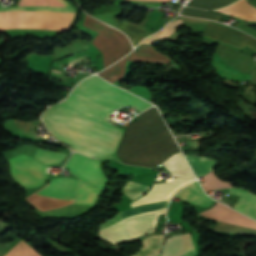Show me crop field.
I'll list each match as a JSON object with an SVG mask.
<instances>
[{"instance_id": "1", "label": "crop field", "mask_w": 256, "mask_h": 256, "mask_svg": "<svg viewBox=\"0 0 256 256\" xmlns=\"http://www.w3.org/2000/svg\"><path fill=\"white\" fill-rule=\"evenodd\" d=\"M60 104L122 132L105 117L123 106H132L140 112L152 106L95 76L82 81ZM61 105L51 106L42 115L50 134L86 156L99 159L114 154L123 133Z\"/></svg>"}, {"instance_id": "2", "label": "crop field", "mask_w": 256, "mask_h": 256, "mask_svg": "<svg viewBox=\"0 0 256 256\" xmlns=\"http://www.w3.org/2000/svg\"><path fill=\"white\" fill-rule=\"evenodd\" d=\"M139 118L124 132L116 153L121 161L155 168L180 151L155 107L141 113Z\"/></svg>"}, {"instance_id": "3", "label": "crop field", "mask_w": 256, "mask_h": 256, "mask_svg": "<svg viewBox=\"0 0 256 256\" xmlns=\"http://www.w3.org/2000/svg\"><path fill=\"white\" fill-rule=\"evenodd\" d=\"M67 8L11 7L0 11L32 10L75 13V10L64 0H58ZM57 0H20L18 6L65 7ZM0 12V30L3 29H45L66 30L75 14L51 12Z\"/></svg>"}, {"instance_id": "4", "label": "crop field", "mask_w": 256, "mask_h": 256, "mask_svg": "<svg viewBox=\"0 0 256 256\" xmlns=\"http://www.w3.org/2000/svg\"><path fill=\"white\" fill-rule=\"evenodd\" d=\"M82 26L99 34L92 44L103 54L104 68L132 50L124 35L88 15Z\"/></svg>"}, {"instance_id": "5", "label": "crop field", "mask_w": 256, "mask_h": 256, "mask_svg": "<svg viewBox=\"0 0 256 256\" xmlns=\"http://www.w3.org/2000/svg\"><path fill=\"white\" fill-rule=\"evenodd\" d=\"M77 187V180L69 178H55L51 180V182L45 188L39 190L36 193L73 201ZM37 194H33L27 199L40 210H51L53 208L65 206L72 203L71 201L56 199Z\"/></svg>"}, {"instance_id": "6", "label": "crop field", "mask_w": 256, "mask_h": 256, "mask_svg": "<svg viewBox=\"0 0 256 256\" xmlns=\"http://www.w3.org/2000/svg\"><path fill=\"white\" fill-rule=\"evenodd\" d=\"M200 214L208 216L210 218L217 219L219 221L256 229V222L250 220L246 216L234 210L229 209L228 207L218 202L212 209H209ZM223 222H220L214 229L249 234V235H256V230L244 228L236 225H231Z\"/></svg>"}, {"instance_id": "7", "label": "crop field", "mask_w": 256, "mask_h": 256, "mask_svg": "<svg viewBox=\"0 0 256 256\" xmlns=\"http://www.w3.org/2000/svg\"><path fill=\"white\" fill-rule=\"evenodd\" d=\"M12 167V175L23 186L36 187L46 177V166L25 156L19 155L8 160Z\"/></svg>"}, {"instance_id": "8", "label": "crop field", "mask_w": 256, "mask_h": 256, "mask_svg": "<svg viewBox=\"0 0 256 256\" xmlns=\"http://www.w3.org/2000/svg\"><path fill=\"white\" fill-rule=\"evenodd\" d=\"M66 168L77 175L78 178L101 190L107 182L98 160L89 159L78 153L72 156Z\"/></svg>"}, {"instance_id": "9", "label": "crop field", "mask_w": 256, "mask_h": 256, "mask_svg": "<svg viewBox=\"0 0 256 256\" xmlns=\"http://www.w3.org/2000/svg\"><path fill=\"white\" fill-rule=\"evenodd\" d=\"M195 179L174 178L173 182L154 184L149 192L142 198L131 203L132 207L140 206L146 203L159 202L169 199L179 188L191 183Z\"/></svg>"}, {"instance_id": "10", "label": "crop field", "mask_w": 256, "mask_h": 256, "mask_svg": "<svg viewBox=\"0 0 256 256\" xmlns=\"http://www.w3.org/2000/svg\"><path fill=\"white\" fill-rule=\"evenodd\" d=\"M203 35L239 48L247 44L248 46L256 49L255 39L210 23H208Z\"/></svg>"}, {"instance_id": "11", "label": "crop field", "mask_w": 256, "mask_h": 256, "mask_svg": "<svg viewBox=\"0 0 256 256\" xmlns=\"http://www.w3.org/2000/svg\"><path fill=\"white\" fill-rule=\"evenodd\" d=\"M99 236L113 244L128 242L120 212L99 225Z\"/></svg>"}, {"instance_id": "12", "label": "crop field", "mask_w": 256, "mask_h": 256, "mask_svg": "<svg viewBox=\"0 0 256 256\" xmlns=\"http://www.w3.org/2000/svg\"><path fill=\"white\" fill-rule=\"evenodd\" d=\"M192 248L194 246L190 233L171 236L165 242L162 256H181Z\"/></svg>"}, {"instance_id": "13", "label": "crop field", "mask_w": 256, "mask_h": 256, "mask_svg": "<svg viewBox=\"0 0 256 256\" xmlns=\"http://www.w3.org/2000/svg\"><path fill=\"white\" fill-rule=\"evenodd\" d=\"M175 197L182 198L204 208L211 206L215 201L209 199L201 190L198 182H194L181 190Z\"/></svg>"}, {"instance_id": "14", "label": "crop field", "mask_w": 256, "mask_h": 256, "mask_svg": "<svg viewBox=\"0 0 256 256\" xmlns=\"http://www.w3.org/2000/svg\"><path fill=\"white\" fill-rule=\"evenodd\" d=\"M162 164L172 175L183 178L195 177L181 152L172 155Z\"/></svg>"}, {"instance_id": "15", "label": "crop field", "mask_w": 256, "mask_h": 256, "mask_svg": "<svg viewBox=\"0 0 256 256\" xmlns=\"http://www.w3.org/2000/svg\"><path fill=\"white\" fill-rule=\"evenodd\" d=\"M129 61L170 63L169 58L156 52L149 45L137 47L131 54Z\"/></svg>"}, {"instance_id": "16", "label": "crop field", "mask_w": 256, "mask_h": 256, "mask_svg": "<svg viewBox=\"0 0 256 256\" xmlns=\"http://www.w3.org/2000/svg\"><path fill=\"white\" fill-rule=\"evenodd\" d=\"M217 11L240 17L248 21H256V8L250 6L246 0H240L235 4Z\"/></svg>"}, {"instance_id": "17", "label": "crop field", "mask_w": 256, "mask_h": 256, "mask_svg": "<svg viewBox=\"0 0 256 256\" xmlns=\"http://www.w3.org/2000/svg\"><path fill=\"white\" fill-rule=\"evenodd\" d=\"M229 190H238V189H229ZM238 191H243V192L249 193L244 190H238ZM238 191H229L230 194L241 195L240 198L237 200V202L234 206V209L239 210V211L243 212L244 214L256 219V198H254L248 194L238 192ZM249 194H251V193H249ZM251 195H253V194H251Z\"/></svg>"}, {"instance_id": "18", "label": "crop field", "mask_w": 256, "mask_h": 256, "mask_svg": "<svg viewBox=\"0 0 256 256\" xmlns=\"http://www.w3.org/2000/svg\"><path fill=\"white\" fill-rule=\"evenodd\" d=\"M164 236L165 235H154L144 238L143 246L135 254V256H159Z\"/></svg>"}, {"instance_id": "19", "label": "crop field", "mask_w": 256, "mask_h": 256, "mask_svg": "<svg viewBox=\"0 0 256 256\" xmlns=\"http://www.w3.org/2000/svg\"><path fill=\"white\" fill-rule=\"evenodd\" d=\"M100 193L101 190L94 188L80 180V186L76 195L75 203L94 205Z\"/></svg>"}, {"instance_id": "20", "label": "crop field", "mask_w": 256, "mask_h": 256, "mask_svg": "<svg viewBox=\"0 0 256 256\" xmlns=\"http://www.w3.org/2000/svg\"><path fill=\"white\" fill-rule=\"evenodd\" d=\"M128 58L129 55L126 58L115 63L111 67L107 68L103 72L99 73V75L108 80L109 82H111L112 84L115 83L120 78L125 76L126 62Z\"/></svg>"}, {"instance_id": "21", "label": "crop field", "mask_w": 256, "mask_h": 256, "mask_svg": "<svg viewBox=\"0 0 256 256\" xmlns=\"http://www.w3.org/2000/svg\"><path fill=\"white\" fill-rule=\"evenodd\" d=\"M64 156L65 154L62 153L38 149L34 158L47 165H51L62 162Z\"/></svg>"}, {"instance_id": "22", "label": "crop field", "mask_w": 256, "mask_h": 256, "mask_svg": "<svg viewBox=\"0 0 256 256\" xmlns=\"http://www.w3.org/2000/svg\"><path fill=\"white\" fill-rule=\"evenodd\" d=\"M147 189H148V186H145L140 183L128 181L126 182L122 192H124L129 199L134 200L136 197L140 196Z\"/></svg>"}, {"instance_id": "23", "label": "crop field", "mask_w": 256, "mask_h": 256, "mask_svg": "<svg viewBox=\"0 0 256 256\" xmlns=\"http://www.w3.org/2000/svg\"><path fill=\"white\" fill-rule=\"evenodd\" d=\"M180 23H182L181 19L170 22L167 26L163 28L161 32L148 37L141 44H151L154 40L167 38L175 30V26Z\"/></svg>"}, {"instance_id": "24", "label": "crop field", "mask_w": 256, "mask_h": 256, "mask_svg": "<svg viewBox=\"0 0 256 256\" xmlns=\"http://www.w3.org/2000/svg\"><path fill=\"white\" fill-rule=\"evenodd\" d=\"M234 1L236 0H193L190 6L202 9H216Z\"/></svg>"}, {"instance_id": "25", "label": "crop field", "mask_w": 256, "mask_h": 256, "mask_svg": "<svg viewBox=\"0 0 256 256\" xmlns=\"http://www.w3.org/2000/svg\"><path fill=\"white\" fill-rule=\"evenodd\" d=\"M5 256H40V255L21 240Z\"/></svg>"}, {"instance_id": "26", "label": "crop field", "mask_w": 256, "mask_h": 256, "mask_svg": "<svg viewBox=\"0 0 256 256\" xmlns=\"http://www.w3.org/2000/svg\"><path fill=\"white\" fill-rule=\"evenodd\" d=\"M203 177L206 182H203L201 184L205 188L206 191H208L210 189L231 187L230 183H225V182H222L221 180H219L213 171Z\"/></svg>"}, {"instance_id": "27", "label": "crop field", "mask_w": 256, "mask_h": 256, "mask_svg": "<svg viewBox=\"0 0 256 256\" xmlns=\"http://www.w3.org/2000/svg\"><path fill=\"white\" fill-rule=\"evenodd\" d=\"M181 15L197 16V17L217 19V20H219L220 17L222 16L219 13L206 12V11H203V10L193 9V8H188V7L183 8V10L181 12Z\"/></svg>"}, {"instance_id": "28", "label": "crop field", "mask_w": 256, "mask_h": 256, "mask_svg": "<svg viewBox=\"0 0 256 256\" xmlns=\"http://www.w3.org/2000/svg\"><path fill=\"white\" fill-rule=\"evenodd\" d=\"M148 1H165V0H148Z\"/></svg>"}, {"instance_id": "29", "label": "crop field", "mask_w": 256, "mask_h": 256, "mask_svg": "<svg viewBox=\"0 0 256 256\" xmlns=\"http://www.w3.org/2000/svg\"><path fill=\"white\" fill-rule=\"evenodd\" d=\"M3 230H2V228L0 227V233L2 232Z\"/></svg>"}, {"instance_id": "30", "label": "crop field", "mask_w": 256, "mask_h": 256, "mask_svg": "<svg viewBox=\"0 0 256 256\" xmlns=\"http://www.w3.org/2000/svg\"><path fill=\"white\" fill-rule=\"evenodd\" d=\"M40 121V120H39Z\"/></svg>"}]
</instances>
